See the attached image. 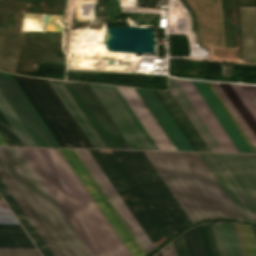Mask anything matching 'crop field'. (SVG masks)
<instances>
[{
    "label": "crop field",
    "instance_id": "obj_1",
    "mask_svg": "<svg viewBox=\"0 0 256 256\" xmlns=\"http://www.w3.org/2000/svg\"><path fill=\"white\" fill-rule=\"evenodd\" d=\"M96 256H145L155 247L88 150L22 148Z\"/></svg>",
    "mask_w": 256,
    "mask_h": 256
},
{
    "label": "crop field",
    "instance_id": "obj_2",
    "mask_svg": "<svg viewBox=\"0 0 256 256\" xmlns=\"http://www.w3.org/2000/svg\"><path fill=\"white\" fill-rule=\"evenodd\" d=\"M61 147L131 149L85 83L12 75Z\"/></svg>",
    "mask_w": 256,
    "mask_h": 256
},
{
    "label": "crop field",
    "instance_id": "obj_3",
    "mask_svg": "<svg viewBox=\"0 0 256 256\" xmlns=\"http://www.w3.org/2000/svg\"><path fill=\"white\" fill-rule=\"evenodd\" d=\"M89 152L155 247L191 223L143 151Z\"/></svg>",
    "mask_w": 256,
    "mask_h": 256
},
{
    "label": "crop field",
    "instance_id": "obj_4",
    "mask_svg": "<svg viewBox=\"0 0 256 256\" xmlns=\"http://www.w3.org/2000/svg\"><path fill=\"white\" fill-rule=\"evenodd\" d=\"M76 256H94L21 148L2 147ZM0 147V178L55 256H75Z\"/></svg>",
    "mask_w": 256,
    "mask_h": 256
},
{
    "label": "crop field",
    "instance_id": "obj_5",
    "mask_svg": "<svg viewBox=\"0 0 256 256\" xmlns=\"http://www.w3.org/2000/svg\"><path fill=\"white\" fill-rule=\"evenodd\" d=\"M144 153L192 222L215 217L244 220L198 153Z\"/></svg>",
    "mask_w": 256,
    "mask_h": 256
},
{
    "label": "crop field",
    "instance_id": "obj_6",
    "mask_svg": "<svg viewBox=\"0 0 256 256\" xmlns=\"http://www.w3.org/2000/svg\"><path fill=\"white\" fill-rule=\"evenodd\" d=\"M246 220L256 222V155L200 153Z\"/></svg>",
    "mask_w": 256,
    "mask_h": 256
},
{
    "label": "crop field",
    "instance_id": "obj_7",
    "mask_svg": "<svg viewBox=\"0 0 256 256\" xmlns=\"http://www.w3.org/2000/svg\"><path fill=\"white\" fill-rule=\"evenodd\" d=\"M0 110L25 146L60 147L8 73L0 72Z\"/></svg>",
    "mask_w": 256,
    "mask_h": 256
},
{
    "label": "crop field",
    "instance_id": "obj_8",
    "mask_svg": "<svg viewBox=\"0 0 256 256\" xmlns=\"http://www.w3.org/2000/svg\"><path fill=\"white\" fill-rule=\"evenodd\" d=\"M86 85L132 149L158 150L115 86Z\"/></svg>",
    "mask_w": 256,
    "mask_h": 256
},
{
    "label": "crop field",
    "instance_id": "obj_9",
    "mask_svg": "<svg viewBox=\"0 0 256 256\" xmlns=\"http://www.w3.org/2000/svg\"><path fill=\"white\" fill-rule=\"evenodd\" d=\"M159 150H176L135 88L116 86Z\"/></svg>",
    "mask_w": 256,
    "mask_h": 256
},
{
    "label": "crop field",
    "instance_id": "obj_10",
    "mask_svg": "<svg viewBox=\"0 0 256 256\" xmlns=\"http://www.w3.org/2000/svg\"><path fill=\"white\" fill-rule=\"evenodd\" d=\"M205 225L215 256H244L234 223Z\"/></svg>",
    "mask_w": 256,
    "mask_h": 256
},
{
    "label": "crop field",
    "instance_id": "obj_11",
    "mask_svg": "<svg viewBox=\"0 0 256 256\" xmlns=\"http://www.w3.org/2000/svg\"><path fill=\"white\" fill-rule=\"evenodd\" d=\"M194 151H210L170 92L154 91Z\"/></svg>",
    "mask_w": 256,
    "mask_h": 256
},
{
    "label": "crop field",
    "instance_id": "obj_12",
    "mask_svg": "<svg viewBox=\"0 0 256 256\" xmlns=\"http://www.w3.org/2000/svg\"><path fill=\"white\" fill-rule=\"evenodd\" d=\"M177 150L193 151L152 90L136 88Z\"/></svg>",
    "mask_w": 256,
    "mask_h": 256
},
{
    "label": "crop field",
    "instance_id": "obj_13",
    "mask_svg": "<svg viewBox=\"0 0 256 256\" xmlns=\"http://www.w3.org/2000/svg\"><path fill=\"white\" fill-rule=\"evenodd\" d=\"M219 85L256 134V87L223 83Z\"/></svg>",
    "mask_w": 256,
    "mask_h": 256
},
{
    "label": "crop field",
    "instance_id": "obj_14",
    "mask_svg": "<svg viewBox=\"0 0 256 256\" xmlns=\"http://www.w3.org/2000/svg\"><path fill=\"white\" fill-rule=\"evenodd\" d=\"M187 96L190 98L212 133L215 135L225 152H238L217 119L214 117L191 81L177 80Z\"/></svg>",
    "mask_w": 256,
    "mask_h": 256
},
{
    "label": "crop field",
    "instance_id": "obj_15",
    "mask_svg": "<svg viewBox=\"0 0 256 256\" xmlns=\"http://www.w3.org/2000/svg\"><path fill=\"white\" fill-rule=\"evenodd\" d=\"M198 92L201 94L213 114L216 116L230 139L233 141L239 152L252 153L206 82L192 81Z\"/></svg>",
    "mask_w": 256,
    "mask_h": 256
},
{
    "label": "crop field",
    "instance_id": "obj_16",
    "mask_svg": "<svg viewBox=\"0 0 256 256\" xmlns=\"http://www.w3.org/2000/svg\"><path fill=\"white\" fill-rule=\"evenodd\" d=\"M169 90L175 97L181 108L184 110L190 121L193 123L197 131L200 133L206 144L209 146L211 151L224 152V150L217 142L207 125L204 123L196 109L193 107L183 90L173 78L169 79Z\"/></svg>",
    "mask_w": 256,
    "mask_h": 256
},
{
    "label": "crop field",
    "instance_id": "obj_17",
    "mask_svg": "<svg viewBox=\"0 0 256 256\" xmlns=\"http://www.w3.org/2000/svg\"><path fill=\"white\" fill-rule=\"evenodd\" d=\"M244 62L256 63V7H240Z\"/></svg>",
    "mask_w": 256,
    "mask_h": 256
},
{
    "label": "crop field",
    "instance_id": "obj_18",
    "mask_svg": "<svg viewBox=\"0 0 256 256\" xmlns=\"http://www.w3.org/2000/svg\"><path fill=\"white\" fill-rule=\"evenodd\" d=\"M22 34L0 29V70L13 73Z\"/></svg>",
    "mask_w": 256,
    "mask_h": 256
},
{
    "label": "crop field",
    "instance_id": "obj_19",
    "mask_svg": "<svg viewBox=\"0 0 256 256\" xmlns=\"http://www.w3.org/2000/svg\"><path fill=\"white\" fill-rule=\"evenodd\" d=\"M0 193L7 201L15 215L18 217L24 228L27 230L33 241L36 243L44 256H54L46 243L43 241L39 233L36 231L32 223L29 221L25 213L22 211L18 203L15 201L11 193L8 191L4 183L0 179Z\"/></svg>",
    "mask_w": 256,
    "mask_h": 256
},
{
    "label": "crop field",
    "instance_id": "obj_20",
    "mask_svg": "<svg viewBox=\"0 0 256 256\" xmlns=\"http://www.w3.org/2000/svg\"><path fill=\"white\" fill-rule=\"evenodd\" d=\"M0 247L35 248L20 225L0 224Z\"/></svg>",
    "mask_w": 256,
    "mask_h": 256
},
{
    "label": "crop field",
    "instance_id": "obj_21",
    "mask_svg": "<svg viewBox=\"0 0 256 256\" xmlns=\"http://www.w3.org/2000/svg\"><path fill=\"white\" fill-rule=\"evenodd\" d=\"M236 224L245 256H256V241L251 226Z\"/></svg>",
    "mask_w": 256,
    "mask_h": 256
},
{
    "label": "crop field",
    "instance_id": "obj_22",
    "mask_svg": "<svg viewBox=\"0 0 256 256\" xmlns=\"http://www.w3.org/2000/svg\"><path fill=\"white\" fill-rule=\"evenodd\" d=\"M182 235H183L189 256H206L197 227H194L182 233Z\"/></svg>",
    "mask_w": 256,
    "mask_h": 256
},
{
    "label": "crop field",
    "instance_id": "obj_23",
    "mask_svg": "<svg viewBox=\"0 0 256 256\" xmlns=\"http://www.w3.org/2000/svg\"><path fill=\"white\" fill-rule=\"evenodd\" d=\"M207 84L209 85V87L211 88V90L213 91V93L215 94V96L217 97V99L219 100V102L221 103V105L223 106V108L225 109V111L227 112V114L229 115V117L231 118V120L233 121V123L235 124V126L237 127V129L239 130V132L241 133V135L243 136V138L245 139V141L249 145V147L251 148V150L253 151V153H256L255 144L252 142V140L250 139L248 134L245 132L243 127L240 125L238 120L235 118V116L231 112V110L228 108L226 103L223 101L221 96L218 94V92L216 91L214 86L211 84V82H207Z\"/></svg>",
    "mask_w": 256,
    "mask_h": 256
},
{
    "label": "crop field",
    "instance_id": "obj_24",
    "mask_svg": "<svg viewBox=\"0 0 256 256\" xmlns=\"http://www.w3.org/2000/svg\"><path fill=\"white\" fill-rule=\"evenodd\" d=\"M0 132L9 143V145L24 146L13 128L10 126L4 115L0 111Z\"/></svg>",
    "mask_w": 256,
    "mask_h": 256
},
{
    "label": "crop field",
    "instance_id": "obj_25",
    "mask_svg": "<svg viewBox=\"0 0 256 256\" xmlns=\"http://www.w3.org/2000/svg\"><path fill=\"white\" fill-rule=\"evenodd\" d=\"M178 256H188L182 235L173 240ZM173 242L168 244L157 256H177Z\"/></svg>",
    "mask_w": 256,
    "mask_h": 256
},
{
    "label": "crop field",
    "instance_id": "obj_26",
    "mask_svg": "<svg viewBox=\"0 0 256 256\" xmlns=\"http://www.w3.org/2000/svg\"><path fill=\"white\" fill-rule=\"evenodd\" d=\"M212 84L215 86V88L217 89V91L220 93V95L222 96V98L224 99V101L227 103V105L229 106V108L232 110V112L234 113V115L237 117V119L239 120V122L241 123V125L244 127V129L246 130V132L249 134V136L251 137V139L254 141V143L256 144V136L255 134L252 132V130L249 128V126L246 124V122L243 120V118L241 117V115L238 113V111L235 109V107L232 105V103L229 101V99L226 97V95L223 93V91L220 89V87L217 85V83H213Z\"/></svg>",
    "mask_w": 256,
    "mask_h": 256
},
{
    "label": "crop field",
    "instance_id": "obj_27",
    "mask_svg": "<svg viewBox=\"0 0 256 256\" xmlns=\"http://www.w3.org/2000/svg\"><path fill=\"white\" fill-rule=\"evenodd\" d=\"M0 256H41L35 249L0 248Z\"/></svg>",
    "mask_w": 256,
    "mask_h": 256
},
{
    "label": "crop field",
    "instance_id": "obj_28",
    "mask_svg": "<svg viewBox=\"0 0 256 256\" xmlns=\"http://www.w3.org/2000/svg\"><path fill=\"white\" fill-rule=\"evenodd\" d=\"M0 223L18 224L13 214L7 208L3 201H0Z\"/></svg>",
    "mask_w": 256,
    "mask_h": 256
},
{
    "label": "crop field",
    "instance_id": "obj_29",
    "mask_svg": "<svg viewBox=\"0 0 256 256\" xmlns=\"http://www.w3.org/2000/svg\"><path fill=\"white\" fill-rule=\"evenodd\" d=\"M255 4V0H240V5Z\"/></svg>",
    "mask_w": 256,
    "mask_h": 256
},
{
    "label": "crop field",
    "instance_id": "obj_30",
    "mask_svg": "<svg viewBox=\"0 0 256 256\" xmlns=\"http://www.w3.org/2000/svg\"><path fill=\"white\" fill-rule=\"evenodd\" d=\"M0 145H7V143H6L5 140L2 138L1 135H0Z\"/></svg>",
    "mask_w": 256,
    "mask_h": 256
},
{
    "label": "crop field",
    "instance_id": "obj_31",
    "mask_svg": "<svg viewBox=\"0 0 256 256\" xmlns=\"http://www.w3.org/2000/svg\"><path fill=\"white\" fill-rule=\"evenodd\" d=\"M252 227H253L254 234H255V237H256V227L255 226H252Z\"/></svg>",
    "mask_w": 256,
    "mask_h": 256
}]
</instances>
